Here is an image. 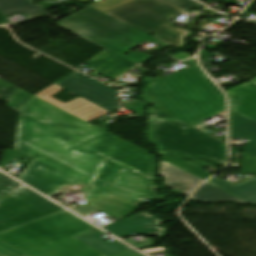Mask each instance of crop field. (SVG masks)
Segmentation results:
<instances>
[{
	"instance_id": "crop-field-23",
	"label": "crop field",
	"mask_w": 256,
	"mask_h": 256,
	"mask_svg": "<svg viewBox=\"0 0 256 256\" xmlns=\"http://www.w3.org/2000/svg\"><path fill=\"white\" fill-rule=\"evenodd\" d=\"M242 170L245 173H256V159L242 153Z\"/></svg>"
},
{
	"instance_id": "crop-field-14",
	"label": "crop field",
	"mask_w": 256,
	"mask_h": 256,
	"mask_svg": "<svg viewBox=\"0 0 256 256\" xmlns=\"http://www.w3.org/2000/svg\"><path fill=\"white\" fill-rule=\"evenodd\" d=\"M208 183L250 203L256 204V177L236 185L214 177Z\"/></svg>"
},
{
	"instance_id": "crop-field-27",
	"label": "crop field",
	"mask_w": 256,
	"mask_h": 256,
	"mask_svg": "<svg viewBox=\"0 0 256 256\" xmlns=\"http://www.w3.org/2000/svg\"><path fill=\"white\" fill-rule=\"evenodd\" d=\"M249 82H252V83L256 84V78H254L253 80H251V81H249ZM252 83H251V84H252Z\"/></svg>"
},
{
	"instance_id": "crop-field-12",
	"label": "crop field",
	"mask_w": 256,
	"mask_h": 256,
	"mask_svg": "<svg viewBox=\"0 0 256 256\" xmlns=\"http://www.w3.org/2000/svg\"><path fill=\"white\" fill-rule=\"evenodd\" d=\"M230 133L232 138L246 137L251 138L255 142L241 149L256 158V123L230 111Z\"/></svg>"
},
{
	"instance_id": "crop-field-22",
	"label": "crop field",
	"mask_w": 256,
	"mask_h": 256,
	"mask_svg": "<svg viewBox=\"0 0 256 256\" xmlns=\"http://www.w3.org/2000/svg\"><path fill=\"white\" fill-rule=\"evenodd\" d=\"M18 89L19 88L0 79V97L6 101L9 102Z\"/></svg>"
},
{
	"instance_id": "crop-field-26",
	"label": "crop field",
	"mask_w": 256,
	"mask_h": 256,
	"mask_svg": "<svg viewBox=\"0 0 256 256\" xmlns=\"http://www.w3.org/2000/svg\"><path fill=\"white\" fill-rule=\"evenodd\" d=\"M112 256H143L141 254H139L137 251H135L134 249L122 252V253H118Z\"/></svg>"
},
{
	"instance_id": "crop-field-10",
	"label": "crop field",
	"mask_w": 256,
	"mask_h": 256,
	"mask_svg": "<svg viewBox=\"0 0 256 256\" xmlns=\"http://www.w3.org/2000/svg\"><path fill=\"white\" fill-rule=\"evenodd\" d=\"M230 110L256 122V85L245 83L227 91Z\"/></svg>"
},
{
	"instance_id": "crop-field-4",
	"label": "crop field",
	"mask_w": 256,
	"mask_h": 256,
	"mask_svg": "<svg viewBox=\"0 0 256 256\" xmlns=\"http://www.w3.org/2000/svg\"><path fill=\"white\" fill-rule=\"evenodd\" d=\"M97 229L65 211L0 234V242L26 256H105L73 236Z\"/></svg>"
},
{
	"instance_id": "crop-field-15",
	"label": "crop field",
	"mask_w": 256,
	"mask_h": 256,
	"mask_svg": "<svg viewBox=\"0 0 256 256\" xmlns=\"http://www.w3.org/2000/svg\"><path fill=\"white\" fill-rule=\"evenodd\" d=\"M104 234L106 233L101 230L91 231L76 238L107 256L131 249L119 241L111 243L108 240L100 237Z\"/></svg>"
},
{
	"instance_id": "crop-field-24",
	"label": "crop field",
	"mask_w": 256,
	"mask_h": 256,
	"mask_svg": "<svg viewBox=\"0 0 256 256\" xmlns=\"http://www.w3.org/2000/svg\"><path fill=\"white\" fill-rule=\"evenodd\" d=\"M71 210L82 215V216L99 211L98 209H96L88 204L71 209Z\"/></svg>"
},
{
	"instance_id": "crop-field-2",
	"label": "crop field",
	"mask_w": 256,
	"mask_h": 256,
	"mask_svg": "<svg viewBox=\"0 0 256 256\" xmlns=\"http://www.w3.org/2000/svg\"><path fill=\"white\" fill-rule=\"evenodd\" d=\"M54 24L105 48L85 64L96 69L89 75L100 74L113 81L136 66L135 62L139 64L152 57L129 52L134 46L148 40L163 49L170 47L90 7ZM125 53L129 55L125 56Z\"/></svg>"
},
{
	"instance_id": "crop-field-3",
	"label": "crop field",
	"mask_w": 256,
	"mask_h": 256,
	"mask_svg": "<svg viewBox=\"0 0 256 256\" xmlns=\"http://www.w3.org/2000/svg\"><path fill=\"white\" fill-rule=\"evenodd\" d=\"M191 67L165 78H144L140 96L156 103V110L191 126L226 110L221 90L204 74L196 60Z\"/></svg>"
},
{
	"instance_id": "crop-field-9",
	"label": "crop field",
	"mask_w": 256,
	"mask_h": 256,
	"mask_svg": "<svg viewBox=\"0 0 256 256\" xmlns=\"http://www.w3.org/2000/svg\"><path fill=\"white\" fill-rule=\"evenodd\" d=\"M162 221L145 211L104 228L120 238L133 233L162 237L165 234V228L160 226Z\"/></svg>"
},
{
	"instance_id": "crop-field-17",
	"label": "crop field",
	"mask_w": 256,
	"mask_h": 256,
	"mask_svg": "<svg viewBox=\"0 0 256 256\" xmlns=\"http://www.w3.org/2000/svg\"><path fill=\"white\" fill-rule=\"evenodd\" d=\"M191 174H194L202 179H208L210 176V174L202 171L205 167H203L204 165H206V162L204 161H193V162H186L184 161L182 158H180L179 156H177L176 154L173 155H168V156H164L163 158H161Z\"/></svg>"
},
{
	"instance_id": "crop-field-8",
	"label": "crop field",
	"mask_w": 256,
	"mask_h": 256,
	"mask_svg": "<svg viewBox=\"0 0 256 256\" xmlns=\"http://www.w3.org/2000/svg\"><path fill=\"white\" fill-rule=\"evenodd\" d=\"M65 211L0 172V233Z\"/></svg>"
},
{
	"instance_id": "crop-field-28",
	"label": "crop field",
	"mask_w": 256,
	"mask_h": 256,
	"mask_svg": "<svg viewBox=\"0 0 256 256\" xmlns=\"http://www.w3.org/2000/svg\"><path fill=\"white\" fill-rule=\"evenodd\" d=\"M0 256H6V255H4V254L0 253Z\"/></svg>"
},
{
	"instance_id": "crop-field-7",
	"label": "crop field",
	"mask_w": 256,
	"mask_h": 256,
	"mask_svg": "<svg viewBox=\"0 0 256 256\" xmlns=\"http://www.w3.org/2000/svg\"><path fill=\"white\" fill-rule=\"evenodd\" d=\"M182 11L166 0H137L106 14L148 35L156 34L155 38L175 48H182L185 47L183 38L190 32L168 25Z\"/></svg>"
},
{
	"instance_id": "crop-field-16",
	"label": "crop field",
	"mask_w": 256,
	"mask_h": 256,
	"mask_svg": "<svg viewBox=\"0 0 256 256\" xmlns=\"http://www.w3.org/2000/svg\"><path fill=\"white\" fill-rule=\"evenodd\" d=\"M192 199L203 203L232 200L238 204H248L208 183L200 187Z\"/></svg>"
},
{
	"instance_id": "crop-field-13",
	"label": "crop field",
	"mask_w": 256,
	"mask_h": 256,
	"mask_svg": "<svg viewBox=\"0 0 256 256\" xmlns=\"http://www.w3.org/2000/svg\"><path fill=\"white\" fill-rule=\"evenodd\" d=\"M88 204L118 220L139 208L111 193L101 196Z\"/></svg>"
},
{
	"instance_id": "crop-field-18",
	"label": "crop field",
	"mask_w": 256,
	"mask_h": 256,
	"mask_svg": "<svg viewBox=\"0 0 256 256\" xmlns=\"http://www.w3.org/2000/svg\"><path fill=\"white\" fill-rule=\"evenodd\" d=\"M79 1L82 3H85L90 0H79ZM133 1H135V0H100V1L93 3L89 6L105 13L107 11L119 8V7L126 5Z\"/></svg>"
},
{
	"instance_id": "crop-field-19",
	"label": "crop field",
	"mask_w": 256,
	"mask_h": 256,
	"mask_svg": "<svg viewBox=\"0 0 256 256\" xmlns=\"http://www.w3.org/2000/svg\"><path fill=\"white\" fill-rule=\"evenodd\" d=\"M33 95L19 89L18 92L14 95L13 99L8 103L7 107L21 113L22 109L28 103L30 98Z\"/></svg>"
},
{
	"instance_id": "crop-field-21",
	"label": "crop field",
	"mask_w": 256,
	"mask_h": 256,
	"mask_svg": "<svg viewBox=\"0 0 256 256\" xmlns=\"http://www.w3.org/2000/svg\"><path fill=\"white\" fill-rule=\"evenodd\" d=\"M40 9H42L41 5L32 6V7L16 10V11L4 13L3 16L6 17V16L18 14V13H25L27 18L30 19V18L43 15V11H40Z\"/></svg>"
},
{
	"instance_id": "crop-field-11",
	"label": "crop field",
	"mask_w": 256,
	"mask_h": 256,
	"mask_svg": "<svg viewBox=\"0 0 256 256\" xmlns=\"http://www.w3.org/2000/svg\"><path fill=\"white\" fill-rule=\"evenodd\" d=\"M160 166V173L166 179V185L184 191L187 197L190 196L197 185L204 181L165 161H160Z\"/></svg>"
},
{
	"instance_id": "crop-field-5",
	"label": "crop field",
	"mask_w": 256,
	"mask_h": 256,
	"mask_svg": "<svg viewBox=\"0 0 256 256\" xmlns=\"http://www.w3.org/2000/svg\"><path fill=\"white\" fill-rule=\"evenodd\" d=\"M147 137L160 154L176 152L227 164V145L184 123L149 109Z\"/></svg>"
},
{
	"instance_id": "crop-field-25",
	"label": "crop field",
	"mask_w": 256,
	"mask_h": 256,
	"mask_svg": "<svg viewBox=\"0 0 256 256\" xmlns=\"http://www.w3.org/2000/svg\"><path fill=\"white\" fill-rule=\"evenodd\" d=\"M0 252L8 255V256H19V255H22L14 250H12L11 248L3 245L0 243Z\"/></svg>"
},
{
	"instance_id": "crop-field-1",
	"label": "crop field",
	"mask_w": 256,
	"mask_h": 256,
	"mask_svg": "<svg viewBox=\"0 0 256 256\" xmlns=\"http://www.w3.org/2000/svg\"><path fill=\"white\" fill-rule=\"evenodd\" d=\"M14 149L34 158L17 179L47 196L82 184L93 188L89 201L108 192L131 203L159 197L148 175L155 156L35 96L20 117Z\"/></svg>"
},
{
	"instance_id": "crop-field-6",
	"label": "crop field",
	"mask_w": 256,
	"mask_h": 256,
	"mask_svg": "<svg viewBox=\"0 0 256 256\" xmlns=\"http://www.w3.org/2000/svg\"><path fill=\"white\" fill-rule=\"evenodd\" d=\"M64 88L81 97L67 104L51 97ZM35 96L87 122L120 108L117 90L77 71Z\"/></svg>"
},
{
	"instance_id": "crop-field-20",
	"label": "crop field",
	"mask_w": 256,
	"mask_h": 256,
	"mask_svg": "<svg viewBox=\"0 0 256 256\" xmlns=\"http://www.w3.org/2000/svg\"><path fill=\"white\" fill-rule=\"evenodd\" d=\"M32 5L31 0H0V12L4 13Z\"/></svg>"
},
{
	"instance_id": "crop-field-29",
	"label": "crop field",
	"mask_w": 256,
	"mask_h": 256,
	"mask_svg": "<svg viewBox=\"0 0 256 256\" xmlns=\"http://www.w3.org/2000/svg\"><path fill=\"white\" fill-rule=\"evenodd\" d=\"M22 256H24V255H22Z\"/></svg>"
}]
</instances>
